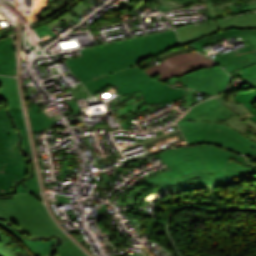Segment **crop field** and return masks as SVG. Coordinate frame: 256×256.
Wrapping results in <instances>:
<instances>
[{
    "label": "crop field",
    "instance_id": "20",
    "mask_svg": "<svg viewBox=\"0 0 256 256\" xmlns=\"http://www.w3.org/2000/svg\"><path fill=\"white\" fill-rule=\"evenodd\" d=\"M27 190L29 191L27 192ZM34 192H40L35 172H34V177L31 180L24 181L18 185L17 193H34Z\"/></svg>",
    "mask_w": 256,
    "mask_h": 256
},
{
    "label": "crop field",
    "instance_id": "15",
    "mask_svg": "<svg viewBox=\"0 0 256 256\" xmlns=\"http://www.w3.org/2000/svg\"><path fill=\"white\" fill-rule=\"evenodd\" d=\"M58 256H87L68 237L57 247Z\"/></svg>",
    "mask_w": 256,
    "mask_h": 256
},
{
    "label": "crop field",
    "instance_id": "27",
    "mask_svg": "<svg viewBox=\"0 0 256 256\" xmlns=\"http://www.w3.org/2000/svg\"><path fill=\"white\" fill-rule=\"evenodd\" d=\"M51 255V254H50ZM50 255H47V256H50Z\"/></svg>",
    "mask_w": 256,
    "mask_h": 256
},
{
    "label": "crop field",
    "instance_id": "6",
    "mask_svg": "<svg viewBox=\"0 0 256 256\" xmlns=\"http://www.w3.org/2000/svg\"><path fill=\"white\" fill-rule=\"evenodd\" d=\"M17 143L18 135L4 110L0 112V163L5 164L1 172L16 175V181L29 172L28 161Z\"/></svg>",
    "mask_w": 256,
    "mask_h": 256
},
{
    "label": "crop field",
    "instance_id": "13",
    "mask_svg": "<svg viewBox=\"0 0 256 256\" xmlns=\"http://www.w3.org/2000/svg\"><path fill=\"white\" fill-rule=\"evenodd\" d=\"M0 227L13 235L18 240H22L27 247L30 249V251L35 255L34 249H37V256H44L51 253V247L54 246V244L57 242V239H53L51 241L45 242V241H31L24 239L18 232H16L14 229L10 228L6 224L0 221Z\"/></svg>",
    "mask_w": 256,
    "mask_h": 256
},
{
    "label": "crop field",
    "instance_id": "21",
    "mask_svg": "<svg viewBox=\"0 0 256 256\" xmlns=\"http://www.w3.org/2000/svg\"><path fill=\"white\" fill-rule=\"evenodd\" d=\"M88 7L84 6L83 4H79L77 5L75 8H73L74 11H76L79 15L85 10L87 9ZM65 20L67 23L71 22V21H74L76 20L72 15L69 14V12L62 16L61 18L51 22V23H48L46 24L50 29L53 28L55 25H57L61 20ZM52 30V29H51Z\"/></svg>",
    "mask_w": 256,
    "mask_h": 256
},
{
    "label": "crop field",
    "instance_id": "2",
    "mask_svg": "<svg viewBox=\"0 0 256 256\" xmlns=\"http://www.w3.org/2000/svg\"><path fill=\"white\" fill-rule=\"evenodd\" d=\"M158 156L170 171H165L144 183H158L160 189L200 178L202 184L226 182L225 179L243 180L249 167L231 163L230 158L246 162L244 157L210 145L167 149Z\"/></svg>",
    "mask_w": 256,
    "mask_h": 256
},
{
    "label": "crop field",
    "instance_id": "19",
    "mask_svg": "<svg viewBox=\"0 0 256 256\" xmlns=\"http://www.w3.org/2000/svg\"><path fill=\"white\" fill-rule=\"evenodd\" d=\"M248 84L242 88H256V65L234 71Z\"/></svg>",
    "mask_w": 256,
    "mask_h": 256
},
{
    "label": "crop field",
    "instance_id": "10",
    "mask_svg": "<svg viewBox=\"0 0 256 256\" xmlns=\"http://www.w3.org/2000/svg\"><path fill=\"white\" fill-rule=\"evenodd\" d=\"M203 142L216 143V144L225 146L229 149H232L236 152H239L241 154L247 155L249 157L256 154L255 149L227 135L221 130H218V131L206 130Z\"/></svg>",
    "mask_w": 256,
    "mask_h": 256
},
{
    "label": "crop field",
    "instance_id": "24",
    "mask_svg": "<svg viewBox=\"0 0 256 256\" xmlns=\"http://www.w3.org/2000/svg\"><path fill=\"white\" fill-rule=\"evenodd\" d=\"M106 206H107V205L105 204V205H103L102 207H97V208H98V216H101L102 211H106V209H107Z\"/></svg>",
    "mask_w": 256,
    "mask_h": 256
},
{
    "label": "crop field",
    "instance_id": "3",
    "mask_svg": "<svg viewBox=\"0 0 256 256\" xmlns=\"http://www.w3.org/2000/svg\"><path fill=\"white\" fill-rule=\"evenodd\" d=\"M0 215L31 236H51L61 232L50 219L43 203L31 194H17L12 199H0Z\"/></svg>",
    "mask_w": 256,
    "mask_h": 256
},
{
    "label": "crop field",
    "instance_id": "14",
    "mask_svg": "<svg viewBox=\"0 0 256 256\" xmlns=\"http://www.w3.org/2000/svg\"><path fill=\"white\" fill-rule=\"evenodd\" d=\"M213 66H217L212 60L207 59V60H201V61H195V62H190L187 64H184L182 66H179L175 69H172L168 72H165L163 74H161L159 77L160 79L163 80H168L174 76H182L203 68H207V67H213Z\"/></svg>",
    "mask_w": 256,
    "mask_h": 256
},
{
    "label": "crop field",
    "instance_id": "22",
    "mask_svg": "<svg viewBox=\"0 0 256 256\" xmlns=\"http://www.w3.org/2000/svg\"><path fill=\"white\" fill-rule=\"evenodd\" d=\"M3 164H0V171L3 168ZM16 177L12 175H6L0 173V195L9 193L10 184Z\"/></svg>",
    "mask_w": 256,
    "mask_h": 256
},
{
    "label": "crop field",
    "instance_id": "4",
    "mask_svg": "<svg viewBox=\"0 0 256 256\" xmlns=\"http://www.w3.org/2000/svg\"><path fill=\"white\" fill-rule=\"evenodd\" d=\"M234 115L236 114L225 105L212 99L195 105L177 124L189 144L201 143L205 129L217 130L219 128L256 149L255 142L223 123L224 120Z\"/></svg>",
    "mask_w": 256,
    "mask_h": 256
},
{
    "label": "crop field",
    "instance_id": "16",
    "mask_svg": "<svg viewBox=\"0 0 256 256\" xmlns=\"http://www.w3.org/2000/svg\"><path fill=\"white\" fill-rule=\"evenodd\" d=\"M13 243L0 231V256H26L17 248L14 249Z\"/></svg>",
    "mask_w": 256,
    "mask_h": 256
},
{
    "label": "crop field",
    "instance_id": "12",
    "mask_svg": "<svg viewBox=\"0 0 256 256\" xmlns=\"http://www.w3.org/2000/svg\"><path fill=\"white\" fill-rule=\"evenodd\" d=\"M0 74L16 77V59L11 37L0 40Z\"/></svg>",
    "mask_w": 256,
    "mask_h": 256
},
{
    "label": "crop field",
    "instance_id": "25",
    "mask_svg": "<svg viewBox=\"0 0 256 256\" xmlns=\"http://www.w3.org/2000/svg\"><path fill=\"white\" fill-rule=\"evenodd\" d=\"M210 1H215V0H205V2H210Z\"/></svg>",
    "mask_w": 256,
    "mask_h": 256
},
{
    "label": "crop field",
    "instance_id": "7",
    "mask_svg": "<svg viewBox=\"0 0 256 256\" xmlns=\"http://www.w3.org/2000/svg\"><path fill=\"white\" fill-rule=\"evenodd\" d=\"M254 29L256 28V13L242 15L221 21H214L198 26H191L182 29H177L178 38L183 45H187L200 38L215 34L217 32L229 29Z\"/></svg>",
    "mask_w": 256,
    "mask_h": 256
},
{
    "label": "crop field",
    "instance_id": "1",
    "mask_svg": "<svg viewBox=\"0 0 256 256\" xmlns=\"http://www.w3.org/2000/svg\"><path fill=\"white\" fill-rule=\"evenodd\" d=\"M179 45L176 33L168 31L83 49L80 50L83 57L66 62L90 95L111 83L123 95L141 91L147 105H152L184 97L183 89L153 80L137 64ZM70 92L75 99L90 96L83 85Z\"/></svg>",
    "mask_w": 256,
    "mask_h": 256
},
{
    "label": "crop field",
    "instance_id": "9",
    "mask_svg": "<svg viewBox=\"0 0 256 256\" xmlns=\"http://www.w3.org/2000/svg\"><path fill=\"white\" fill-rule=\"evenodd\" d=\"M234 97L235 95H231L229 103L224 101V96L216 98L218 101L222 100L220 101L221 103L225 104L232 111L238 114L225 121V123L256 142V123L248 119L253 116V114L244 106L243 103L236 104Z\"/></svg>",
    "mask_w": 256,
    "mask_h": 256
},
{
    "label": "crop field",
    "instance_id": "23",
    "mask_svg": "<svg viewBox=\"0 0 256 256\" xmlns=\"http://www.w3.org/2000/svg\"><path fill=\"white\" fill-rule=\"evenodd\" d=\"M72 0H60V3L58 4H53V9L48 11L47 13L43 14L41 17H39L35 22H31V24L39 22L55 13L60 11L62 8H64L66 5H68ZM30 24V25H31Z\"/></svg>",
    "mask_w": 256,
    "mask_h": 256
},
{
    "label": "crop field",
    "instance_id": "11",
    "mask_svg": "<svg viewBox=\"0 0 256 256\" xmlns=\"http://www.w3.org/2000/svg\"><path fill=\"white\" fill-rule=\"evenodd\" d=\"M206 58H207L206 56L199 54L197 52L178 54V55H174V56L164 60L160 64H157L150 68H147L144 71L149 76L153 77V76H156V75L163 73L167 70H170L176 66L184 64L186 62L201 60V59H206Z\"/></svg>",
    "mask_w": 256,
    "mask_h": 256
},
{
    "label": "crop field",
    "instance_id": "26",
    "mask_svg": "<svg viewBox=\"0 0 256 256\" xmlns=\"http://www.w3.org/2000/svg\"><path fill=\"white\" fill-rule=\"evenodd\" d=\"M252 158H255V159H256V155H255L254 157H252ZM253 165H256V164H253Z\"/></svg>",
    "mask_w": 256,
    "mask_h": 256
},
{
    "label": "crop field",
    "instance_id": "17",
    "mask_svg": "<svg viewBox=\"0 0 256 256\" xmlns=\"http://www.w3.org/2000/svg\"><path fill=\"white\" fill-rule=\"evenodd\" d=\"M152 1L164 3L158 8L159 12H163V11H169L179 7L192 5L202 0H152Z\"/></svg>",
    "mask_w": 256,
    "mask_h": 256
},
{
    "label": "crop field",
    "instance_id": "8",
    "mask_svg": "<svg viewBox=\"0 0 256 256\" xmlns=\"http://www.w3.org/2000/svg\"><path fill=\"white\" fill-rule=\"evenodd\" d=\"M179 79L190 88L215 96L223 92L230 76L217 66L179 77Z\"/></svg>",
    "mask_w": 256,
    "mask_h": 256
},
{
    "label": "crop field",
    "instance_id": "5",
    "mask_svg": "<svg viewBox=\"0 0 256 256\" xmlns=\"http://www.w3.org/2000/svg\"><path fill=\"white\" fill-rule=\"evenodd\" d=\"M215 37H217L215 39ZM236 38L238 41H242L246 46L238 49L240 55L235 50L227 52L223 55L217 56L214 59L221 66H224L227 72L233 69H239L242 66L256 63V29L254 30H241V29H230L215 35L209 36L206 39H200L195 43L187 45L190 48L201 51L205 54L206 51L202 48L208 44L214 43L216 40L221 38ZM194 47H191L193 46Z\"/></svg>",
    "mask_w": 256,
    "mask_h": 256
},
{
    "label": "crop field",
    "instance_id": "18",
    "mask_svg": "<svg viewBox=\"0 0 256 256\" xmlns=\"http://www.w3.org/2000/svg\"><path fill=\"white\" fill-rule=\"evenodd\" d=\"M256 99V91H246L244 93L236 94L235 100L240 103L243 102L245 106L255 115L250 118L254 122H256V110L253 108V102Z\"/></svg>",
    "mask_w": 256,
    "mask_h": 256
}]
</instances>
